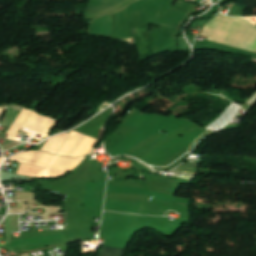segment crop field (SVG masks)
I'll use <instances>...</instances> for the list:
<instances>
[{
	"mask_svg": "<svg viewBox=\"0 0 256 256\" xmlns=\"http://www.w3.org/2000/svg\"><path fill=\"white\" fill-rule=\"evenodd\" d=\"M107 196L150 200L153 194L145 183H108Z\"/></svg>",
	"mask_w": 256,
	"mask_h": 256,
	"instance_id": "8a807250",
	"label": "crop field"
},
{
	"mask_svg": "<svg viewBox=\"0 0 256 256\" xmlns=\"http://www.w3.org/2000/svg\"><path fill=\"white\" fill-rule=\"evenodd\" d=\"M125 249L101 247L97 256H123Z\"/></svg>",
	"mask_w": 256,
	"mask_h": 256,
	"instance_id": "ac0d7876",
	"label": "crop field"
},
{
	"mask_svg": "<svg viewBox=\"0 0 256 256\" xmlns=\"http://www.w3.org/2000/svg\"><path fill=\"white\" fill-rule=\"evenodd\" d=\"M166 134L164 133H158L154 136H152L151 138L147 139L146 141H144L143 143L139 144L138 146H136L135 148L131 149L130 151L124 153L125 155L131 156L132 154H134L136 151H138L140 148H142L143 146L149 144L150 142L164 136Z\"/></svg>",
	"mask_w": 256,
	"mask_h": 256,
	"instance_id": "34b2d1b8",
	"label": "crop field"
}]
</instances>
